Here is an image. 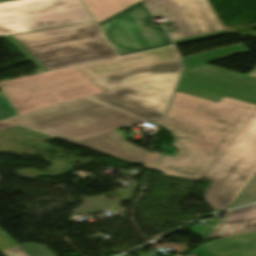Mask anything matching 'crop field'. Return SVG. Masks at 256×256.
<instances>
[{
    "label": "crop field",
    "instance_id": "4",
    "mask_svg": "<svg viewBox=\"0 0 256 256\" xmlns=\"http://www.w3.org/2000/svg\"><path fill=\"white\" fill-rule=\"evenodd\" d=\"M3 38L44 72L116 57L94 22Z\"/></svg>",
    "mask_w": 256,
    "mask_h": 256
},
{
    "label": "crop field",
    "instance_id": "14",
    "mask_svg": "<svg viewBox=\"0 0 256 256\" xmlns=\"http://www.w3.org/2000/svg\"><path fill=\"white\" fill-rule=\"evenodd\" d=\"M253 242L251 244H247ZM214 256H256V231L230 236L200 246Z\"/></svg>",
    "mask_w": 256,
    "mask_h": 256
},
{
    "label": "crop field",
    "instance_id": "1",
    "mask_svg": "<svg viewBox=\"0 0 256 256\" xmlns=\"http://www.w3.org/2000/svg\"><path fill=\"white\" fill-rule=\"evenodd\" d=\"M157 16L178 28L169 32L175 45L227 34L207 0H142L99 26L117 55L129 54L171 44L162 27H152Z\"/></svg>",
    "mask_w": 256,
    "mask_h": 256
},
{
    "label": "crop field",
    "instance_id": "23",
    "mask_svg": "<svg viewBox=\"0 0 256 256\" xmlns=\"http://www.w3.org/2000/svg\"><path fill=\"white\" fill-rule=\"evenodd\" d=\"M247 75H251V76L256 77V67L252 72L248 73Z\"/></svg>",
    "mask_w": 256,
    "mask_h": 256
},
{
    "label": "crop field",
    "instance_id": "25",
    "mask_svg": "<svg viewBox=\"0 0 256 256\" xmlns=\"http://www.w3.org/2000/svg\"><path fill=\"white\" fill-rule=\"evenodd\" d=\"M11 1V0H0V2Z\"/></svg>",
    "mask_w": 256,
    "mask_h": 256
},
{
    "label": "crop field",
    "instance_id": "18",
    "mask_svg": "<svg viewBox=\"0 0 256 256\" xmlns=\"http://www.w3.org/2000/svg\"><path fill=\"white\" fill-rule=\"evenodd\" d=\"M18 113L15 111L13 106L10 104L3 92H0V130L18 126L2 119L17 116Z\"/></svg>",
    "mask_w": 256,
    "mask_h": 256
},
{
    "label": "crop field",
    "instance_id": "2",
    "mask_svg": "<svg viewBox=\"0 0 256 256\" xmlns=\"http://www.w3.org/2000/svg\"><path fill=\"white\" fill-rule=\"evenodd\" d=\"M255 110L227 97L216 103L175 92L162 127L180 141L225 148Z\"/></svg>",
    "mask_w": 256,
    "mask_h": 256
},
{
    "label": "crop field",
    "instance_id": "19",
    "mask_svg": "<svg viewBox=\"0 0 256 256\" xmlns=\"http://www.w3.org/2000/svg\"><path fill=\"white\" fill-rule=\"evenodd\" d=\"M256 200V175L249 182V184L240 193L237 199L233 202L230 207H236L245 203L253 202ZM229 207V208H230Z\"/></svg>",
    "mask_w": 256,
    "mask_h": 256
},
{
    "label": "crop field",
    "instance_id": "5",
    "mask_svg": "<svg viewBox=\"0 0 256 256\" xmlns=\"http://www.w3.org/2000/svg\"><path fill=\"white\" fill-rule=\"evenodd\" d=\"M5 120L68 142L145 122L85 98Z\"/></svg>",
    "mask_w": 256,
    "mask_h": 256
},
{
    "label": "crop field",
    "instance_id": "6",
    "mask_svg": "<svg viewBox=\"0 0 256 256\" xmlns=\"http://www.w3.org/2000/svg\"><path fill=\"white\" fill-rule=\"evenodd\" d=\"M256 174V111L203 175L214 184L205 193L213 209L230 206Z\"/></svg>",
    "mask_w": 256,
    "mask_h": 256
},
{
    "label": "crop field",
    "instance_id": "7",
    "mask_svg": "<svg viewBox=\"0 0 256 256\" xmlns=\"http://www.w3.org/2000/svg\"><path fill=\"white\" fill-rule=\"evenodd\" d=\"M0 88L19 115L102 92L77 67L0 82Z\"/></svg>",
    "mask_w": 256,
    "mask_h": 256
},
{
    "label": "crop field",
    "instance_id": "16",
    "mask_svg": "<svg viewBox=\"0 0 256 256\" xmlns=\"http://www.w3.org/2000/svg\"><path fill=\"white\" fill-rule=\"evenodd\" d=\"M241 44L184 57V68H190L193 66L204 64L212 60L235 56L240 53L249 51L244 46H242L243 44Z\"/></svg>",
    "mask_w": 256,
    "mask_h": 256
},
{
    "label": "crop field",
    "instance_id": "11",
    "mask_svg": "<svg viewBox=\"0 0 256 256\" xmlns=\"http://www.w3.org/2000/svg\"><path fill=\"white\" fill-rule=\"evenodd\" d=\"M179 58L174 47L155 49L78 67L91 79Z\"/></svg>",
    "mask_w": 256,
    "mask_h": 256
},
{
    "label": "crop field",
    "instance_id": "21",
    "mask_svg": "<svg viewBox=\"0 0 256 256\" xmlns=\"http://www.w3.org/2000/svg\"><path fill=\"white\" fill-rule=\"evenodd\" d=\"M159 156L157 153L149 152L146 162L144 164L145 168H152L154 164L158 161Z\"/></svg>",
    "mask_w": 256,
    "mask_h": 256
},
{
    "label": "crop field",
    "instance_id": "24",
    "mask_svg": "<svg viewBox=\"0 0 256 256\" xmlns=\"http://www.w3.org/2000/svg\"><path fill=\"white\" fill-rule=\"evenodd\" d=\"M141 256H155V255H151L149 253H143Z\"/></svg>",
    "mask_w": 256,
    "mask_h": 256
},
{
    "label": "crop field",
    "instance_id": "3",
    "mask_svg": "<svg viewBox=\"0 0 256 256\" xmlns=\"http://www.w3.org/2000/svg\"><path fill=\"white\" fill-rule=\"evenodd\" d=\"M180 72L177 59L94 79L105 92L85 98L159 124Z\"/></svg>",
    "mask_w": 256,
    "mask_h": 256
},
{
    "label": "crop field",
    "instance_id": "20",
    "mask_svg": "<svg viewBox=\"0 0 256 256\" xmlns=\"http://www.w3.org/2000/svg\"><path fill=\"white\" fill-rule=\"evenodd\" d=\"M14 246H18V244L0 230V250Z\"/></svg>",
    "mask_w": 256,
    "mask_h": 256
},
{
    "label": "crop field",
    "instance_id": "22",
    "mask_svg": "<svg viewBox=\"0 0 256 256\" xmlns=\"http://www.w3.org/2000/svg\"><path fill=\"white\" fill-rule=\"evenodd\" d=\"M193 254L197 256H213L199 247L196 249V251Z\"/></svg>",
    "mask_w": 256,
    "mask_h": 256
},
{
    "label": "crop field",
    "instance_id": "13",
    "mask_svg": "<svg viewBox=\"0 0 256 256\" xmlns=\"http://www.w3.org/2000/svg\"><path fill=\"white\" fill-rule=\"evenodd\" d=\"M256 230V205L226 212L205 240Z\"/></svg>",
    "mask_w": 256,
    "mask_h": 256
},
{
    "label": "crop field",
    "instance_id": "15",
    "mask_svg": "<svg viewBox=\"0 0 256 256\" xmlns=\"http://www.w3.org/2000/svg\"><path fill=\"white\" fill-rule=\"evenodd\" d=\"M97 21H102L140 0H84Z\"/></svg>",
    "mask_w": 256,
    "mask_h": 256
},
{
    "label": "crop field",
    "instance_id": "12",
    "mask_svg": "<svg viewBox=\"0 0 256 256\" xmlns=\"http://www.w3.org/2000/svg\"><path fill=\"white\" fill-rule=\"evenodd\" d=\"M122 138L124 135L113 131L73 143L131 164H144L149 151H145Z\"/></svg>",
    "mask_w": 256,
    "mask_h": 256
},
{
    "label": "crop field",
    "instance_id": "9",
    "mask_svg": "<svg viewBox=\"0 0 256 256\" xmlns=\"http://www.w3.org/2000/svg\"><path fill=\"white\" fill-rule=\"evenodd\" d=\"M176 91L216 102L227 96L256 104V78L208 64L186 69Z\"/></svg>",
    "mask_w": 256,
    "mask_h": 256
},
{
    "label": "crop field",
    "instance_id": "10",
    "mask_svg": "<svg viewBox=\"0 0 256 256\" xmlns=\"http://www.w3.org/2000/svg\"><path fill=\"white\" fill-rule=\"evenodd\" d=\"M175 157L162 155V160L154 169L163 175L199 180L223 151L221 148L196 144L173 142Z\"/></svg>",
    "mask_w": 256,
    "mask_h": 256
},
{
    "label": "crop field",
    "instance_id": "17",
    "mask_svg": "<svg viewBox=\"0 0 256 256\" xmlns=\"http://www.w3.org/2000/svg\"><path fill=\"white\" fill-rule=\"evenodd\" d=\"M2 252L7 256H55L43 245L25 244Z\"/></svg>",
    "mask_w": 256,
    "mask_h": 256
},
{
    "label": "crop field",
    "instance_id": "8",
    "mask_svg": "<svg viewBox=\"0 0 256 256\" xmlns=\"http://www.w3.org/2000/svg\"><path fill=\"white\" fill-rule=\"evenodd\" d=\"M94 21L81 0L0 3V36Z\"/></svg>",
    "mask_w": 256,
    "mask_h": 256
}]
</instances>
